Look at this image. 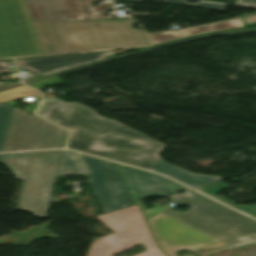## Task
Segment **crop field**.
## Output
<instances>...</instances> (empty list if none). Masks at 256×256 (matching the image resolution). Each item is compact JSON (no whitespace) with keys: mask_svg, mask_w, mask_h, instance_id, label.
I'll return each instance as SVG.
<instances>
[{"mask_svg":"<svg viewBox=\"0 0 256 256\" xmlns=\"http://www.w3.org/2000/svg\"><path fill=\"white\" fill-rule=\"evenodd\" d=\"M76 103L44 99L36 114L71 130L68 148L146 168L192 188L223 177L198 175L164 163L157 155L165 146L153 139L126 134L120 129L71 116Z\"/></svg>","mask_w":256,"mask_h":256,"instance_id":"1","label":"crop field"},{"mask_svg":"<svg viewBox=\"0 0 256 256\" xmlns=\"http://www.w3.org/2000/svg\"><path fill=\"white\" fill-rule=\"evenodd\" d=\"M43 55L148 46L134 20H30Z\"/></svg>","mask_w":256,"mask_h":256,"instance_id":"2","label":"crop field"},{"mask_svg":"<svg viewBox=\"0 0 256 256\" xmlns=\"http://www.w3.org/2000/svg\"><path fill=\"white\" fill-rule=\"evenodd\" d=\"M171 198L190 208L182 214L170 208L161 213L221 241L225 246L233 247L256 241V221L196 192Z\"/></svg>","mask_w":256,"mask_h":256,"instance_id":"3","label":"crop field"},{"mask_svg":"<svg viewBox=\"0 0 256 256\" xmlns=\"http://www.w3.org/2000/svg\"><path fill=\"white\" fill-rule=\"evenodd\" d=\"M62 150L0 154V162L9 166L18 179H24L17 208L45 216L50 196L43 190L52 189Z\"/></svg>","mask_w":256,"mask_h":256,"instance_id":"4","label":"crop field"},{"mask_svg":"<svg viewBox=\"0 0 256 256\" xmlns=\"http://www.w3.org/2000/svg\"><path fill=\"white\" fill-rule=\"evenodd\" d=\"M115 233L93 241L87 256H111L143 243L145 252L136 256H166L152 239L138 205L96 216Z\"/></svg>","mask_w":256,"mask_h":256,"instance_id":"5","label":"crop field"},{"mask_svg":"<svg viewBox=\"0 0 256 256\" xmlns=\"http://www.w3.org/2000/svg\"><path fill=\"white\" fill-rule=\"evenodd\" d=\"M42 55L23 0H0V58Z\"/></svg>","mask_w":256,"mask_h":256,"instance_id":"6","label":"crop field"},{"mask_svg":"<svg viewBox=\"0 0 256 256\" xmlns=\"http://www.w3.org/2000/svg\"><path fill=\"white\" fill-rule=\"evenodd\" d=\"M67 131L14 108L1 151L63 147Z\"/></svg>","mask_w":256,"mask_h":256,"instance_id":"7","label":"crop field"},{"mask_svg":"<svg viewBox=\"0 0 256 256\" xmlns=\"http://www.w3.org/2000/svg\"><path fill=\"white\" fill-rule=\"evenodd\" d=\"M89 172V183L104 212L136 205L117 165L101 159L79 154Z\"/></svg>","mask_w":256,"mask_h":256,"instance_id":"8","label":"crop field"},{"mask_svg":"<svg viewBox=\"0 0 256 256\" xmlns=\"http://www.w3.org/2000/svg\"><path fill=\"white\" fill-rule=\"evenodd\" d=\"M147 222L157 244L168 256H177L179 249L194 251L219 242L161 213Z\"/></svg>","mask_w":256,"mask_h":256,"instance_id":"9","label":"crop field"},{"mask_svg":"<svg viewBox=\"0 0 256 256\" xmlns=\"http://www.w3.org/2000/svg\"><path fill=\"white\" fill-rule=\"evenodd\" d=\"M94 0H24L30 19H104L102 10L112 5L95 6Z\"/></svg>","mask_w":256,"mask_h":256,"instance_id":"10","label":"crop field"},{"mask_svg":"<svg viewBox=\"0 0 256 256\" xmlns=\"http://www.w3.org/2000/svg\"><path fill=\"white\" fill-rule=\"evenodd\" d=\"M118 166L138 204L142 203V198L148 195L167 196L187 189L158 175Z\"/></svg>","mask_w":256,"mask_h":256,"instance_id":"11","label":"crop field"},{"mask_svg":"<svg viewBox=\"0 0 256 256\" xmlns=\"http://www.w3.org/2000/svg\"><path fill=\"white\" fill-rule=\"evenodd\" d=\"M113 51L16 60L18 69L44 76L76 66L113 57Z\"/></svg>","mask_w":256,"mask_h":256,"instance_id":"12","label":"crop field"},{"mask_svg":"<svg viewBox=\"0 0 256 256\" xmlns=\"http://www.w3.org/2000/svg\"><path fill=\"white\" fill-rule=\"evenodd\" d=\"M241 18H235L227 21L192 27L188 29L178 30V31H168V32H160V33H152L149 34L151 37L154 45L175 40L178 38L199 34V33H205V32H211V31H218V30H225V29H231V28H238L242 27Z\"/></svg>","mask_w":256,"mask_h":256,"instance_id":"13","label":"crop field"},{"mask_svg":"<svg viewBox=\"0 0 256 256\" xmlns=\"http://www.w3.org/2000/svg\"><path fill=\"white\" fill-rule=\"evenodd\" d=\"M74 116H78V117H82V118H86V119H89V120H92V121H96V122H99V123H103V124H106V125H110V126H113V127H117V128H120L122 129L124 132H127V133H131V134H135V135H139V136H144L116 121H113V120H109V119H106V118H103L101 116H99L97 113H95L94 111H92L91 109L83 106V105H80L78 104L77 108L75 109L74 113H73ZM146 137V136H144Z\"/></svg>","mask_w":256,"mask_h":256,"instance_id":"14","label":"crop field"},{"mask_svg":"<svg viewBox=\"0 0 256 256\" xmlns=\"http://www.w3.org/2000/svg\"><path fill=\"white\" fill-rule=\"evenodd\" d=\"M85 172L77 153L70 151L63 152L57 176Z\"/></svg>","mask_w":256,"mask_h":256,"instance_id":"15","label":"crop field"},{"mask_svg":"<svg viewBox=\"0 0 256 256\" xmlns=\"http://www.w3.org/2000/svg\"><path fill=\"white\" fill-rule=\"evenodd\" d=\"M227 187H229V186H227L221 182H217V183H213V184L202 186V187L195 188V189H197V190H199V191H201V192H203V193H205V194H207V195H209V196H211V197H213V198H215V199H217V200H219V201H221V202H223V203H225V204H227V205H229V206H231V207H233V208H235L253 218H256V205L234 206V205H231V204L213 196L214 194L218 193L219 191H221Z\"/></svg>","mask_w":256,"mask_h":256,"instance_id":"16","label":"crop field"},{"mask_svg":"<svg viewBox=\"0 0 256 256\" xmlns=\"http://www.w3.org/2000/svg\"><path fill=\"white\" fill-rule=\"evenodd\" d=\"M24 96H34L35 99H38V101L41 100V95L39 94V92L30 88L21 86L18 88L0 92V103H4L6 101H10V100L17 99Z\"/></svg>","mask_w":256,"mask_h":256,"instance_id":"17","label":"crop field"},{"mask_svg":"<svg viewBox=\"0 0 256 256\" xmlns=\"http://www.w3.org/2000/svg\"><path fill=\"white\" fill-rule=\"evenodd\" d=\"M13 108L14 106L10 104H0V150Z\"/></svg>","mask_w":256,"mask_h":256,"instance_id":"18","label":"crop field"},{"mask_svg":"<svg viewBox=\"0 0 256 256\" xmlns=\"http://www.w3.org/2000/svg\"><path fill=\"white\" fill-rule=\"evenodd\" d=\"M130 1L138 2V1H140V0H130ZM154 1H162V2H169V3H177V4H183V5H189V6H196V7H203V8L218 9V10H222V9L225 7V6H223V5L210 4V3H204V2H200V3H198V4L188 3V2H184V0H154Z\"/></svg>","mask_w":256,"mask_h":256,"instance_id":"19","label":"crop field"},{"mask_svg":"<svg viewBox=\"0 0 256 256\" xmlns=\"http://www.w3.org/2000/svg\"><path fill=\"white\" fill-rule=\"evenodd\" d=\"M58 83H62V81L58 77H55V78L39 81L33 84H29V86L39 89V88L47 87V86L58 84Z\"/></svg>","mask_w":256,"mask_h":256,"instance_id":"20","label":"crop field"},{"mask_svg":"<svg viewBox=\"0 0 256 256\" xmlns=\"http://www.w3.org/2000/svg\"><path fill=\"white\" fill-rule=\"evenodd\" d=\"M15 71L14 69L7 66L5 61H0V73ZM13 81L0 82V86L12 84Z\"/></svg>","mask_w":256,"mask_h":256,"instance_id":"21","label":"crop field"},{"mask_svg":"<svg viewBox=\"0 0 256 256\" xmlns=\"http://www.w3.org/2000/svg\"><path fill=\"white\" fill-rule=\"evenodd\" d=\"M236 4L242 6L256 7V0H236Z\"/></svg>","mask_w":256,"mask_h":256,"instance_id":"22","label":"crop field"},{"mask_svg":"<svg viewBox=\"0 0 256 256\" xmlns=\"http://www.w3.org/2000/svg\"><path fill=\"white\" fill-rule=\"evenodd\" d=\"M245 23L256 22V14L244 17Z\"/></svg>","mask_w":256,"mask_h":256,"instance_id":"23","label":"crop field"},{"mask_svg":"<svg viewBox=\"0 0 256 256\" xmlns=\"http://www.w3.org/2000/svg\"><path fill=\"white\" fill-rule=\"evenodd\" d=\"M187 256H193L192 254H190V255H187Z\"/></svg>","mask_w":256,"mask_h":256,"instance_id":"24","label":"crop field"}]
</instances>
